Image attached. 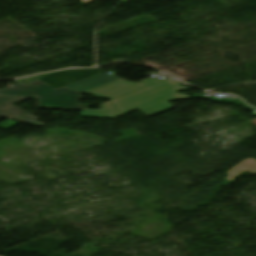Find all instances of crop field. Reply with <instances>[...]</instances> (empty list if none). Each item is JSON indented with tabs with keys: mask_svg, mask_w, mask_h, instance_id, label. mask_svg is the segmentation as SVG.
<instances>
[{
	"mask_svg": "<svg viewBox=\"0 0 256 256\" xmlns=\"http://www.w3.org/2000/svg\"><path fill=\"white\" fill-rule=\"evenodd\" d=\"M180 84L181 82L168 78L149 87L107 101L99 106V110L86 109L81 111L80 117L117 119V117L134 109H138L150 117L174 107L167 101L190 98L188 95L175 93L184 89Z\"/></svg>",
	"mask_w": 256,
	"mask_h": 256,
	"instance_id": "crop-field-1",
	"label": "crop field"
},
{
	"mask_svg": "<svg viewBox=\"0 0 256 256\" xmlns=\"http://www.w3.org/2000/svg\"><path fill=\"white\" fill-rule=\"evenodd\" d=\"M119 78L116 77L115 75H110L106 77L105 75L98 74L95 76H92L90 78L81 80L79 82L73 83L71 85L65 86V88H69L72 90L84 92L93 88H96L98 86L110 83L112 81L118 80Z\"/></svg>",
	"mask_w": 256,
	"mask_h": 256,
	"instance_id": "crop-field-4",
	"label": "crop field"
},
{
	"mask_svg": "<svg viewBox=\"0 0 256 256\" xmlns=\"http://www.w3.org/2000/svg\"><path fill=\"white\" fill-rule=\"evenodd\" d=\"M158 81L160 80L150 78L145 81H142V84L137 85V84L129 83L124 80H118L84 93L95 96V97H99L102 99L110 100V99L117 98L121 95L127 94L129 92L149 86Z\"/></svg>",
	"mask_w": 256,
	"mask_h": 256,
	"instance_id": "crop-field-3",
	"label": "crop field"
},
{
	"mask_svg": "<svg viewBox=\"0 0 256 256\" xmlns=\"http://www.w3.org/2000/svg\"><path fill=\"white\" fill-rule=\"evenodd\" d=\"M243 171L250 172V173H253L256 175V161L253 159H246L242 163H240V164L234 166L233 168H231L230 170H228L227 173L229 175H228V177L226 179L227 181L225 183H227L228 181H230L231 179H233L234 177H236Z\"/></svg>",
	"mask_w": 256,
	"mask_h": 256,
	"instance_id": "crop-field-5",
	"label": "crop field"
},
{
	"mask_svg": "<svg viewBox=\"0 0 256 256\" xmlns=\"http://www.w3.org/2000/svg\"><path fill=\"white\" fill-rule=\"evenodd\" d=\"M30 97L38 101V108L83 110L91 105H80V94L61 88L53 89L39 81L31 84L18 83L0 90V116L23 121L39 127L43 124L35 122L32 114L12 106Z\"/></svg>",
	"mask_w": 256,
	"mask_h": 256,
	"instance_id": "crop-field-2",
	"label": "crop field"
}]
</instances>
